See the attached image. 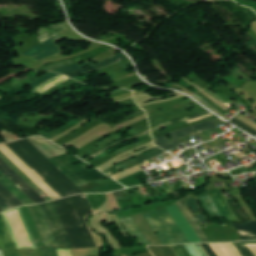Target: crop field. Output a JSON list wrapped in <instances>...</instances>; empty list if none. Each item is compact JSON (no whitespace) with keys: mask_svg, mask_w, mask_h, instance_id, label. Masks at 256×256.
<instances>
[{"mask_svg":"<svg viewBox=\"0 0 256 256\" xmlns=\"http://www.w3.org/2000/svg\"><path fill=\"white\" fill-rule=\"evenodd\" d=\"M56 207L72 248L95 247L82 220L92 209L85 195H75L52 201Z\"/></svg>","mask_w":256,"mask_h":256,"instance_id":"crop-field-2","label":"crop field"},{"mask_svg":"<svg viewBox=\"0 0 256 256\" xmlns=\"http://www.w3.org/2000/svg\"><path fill=\"white\" fill-rule=\"evenodd\" d=\"M0 151L5 154L22 172H24L52 200L61 198L38 174H36L19 156L5 143L0 144Z\"/></svg>","mask_w":256,"mask_h":256,"instance_id":"crop-field-4","label":"crop field"},{"mask_svg":"<svg viewBox=\"0 0 256 256\" xmlns=\"http://www.w3.org/2000/svg\"><path fill=\"white\" fill-rule=\"evenodd\" d=\"M124 59H127V57L125 55H123L122 53L114 56V57H111L103 62H100L94 66H92L96 71L101 69V68H104V67H107V66H110L112 64H115V63H118Z\"/></svg>","mask_w":256,"mask_h":256,"instance_id":"crop-field-25","label":"crop field"},{"mask_svg":"<svg viewBox=\"0 0 256 256\" xmlns=\"http://www.w3.org/2000/svg\"><path fill=\"white\" fill-rule=\"evenodd\" d=\"M121 223L123 224L124 228L126 229L127 233L131 237H137L139 240L138 243H145V245H151L150 242L144 237L141 233L139 228L137 227L136 223L132 219V217L122 218L120 219Z\"/></svg>","mask_w":256,"mask_h":256,"instance_id":"crop-field-16","label":"crop field"},{"mask_svg":"<svg viewBox=\"0 0 256 256\" xmlns=\"http://www.w3.org/2000/svg\"><path fill=\"white\" fill-rule=\"evenodd\" d=\"M137 256H153V255L150 252H147V253H143V254H140Z\"/></svg>","mask_w":256,"mask_h":256,"instance_id":"crop-field-39","label":"crop field"},{"mask_svg":"<svg viewBox=\"0 0 256 256\" xmlns=\"http://www.w3.org/2000/svg\"><path fill=\"white\" fill-rule=\"evenodd\" d=\"M44 256H57L56 249H42Z\"/></svg>","mask_w":256,"mask_h":256,"instance_id":"crop-field-35","label":"crop field"},{"mask_svg":"<svg viewBox=\"0 0 256 256\" xmlns=\"http://www.w3.org/2000/svg\"><path fill=\"white\" fill-rule=\"evenodd\" d=\"M218 256H242L233 243L210 244Z\"/></svg>","mask_w":256,"mask_h":256,"instance_id":"crop-field-21","label":"crop field"},{"mask_svg":"<svg viewBox=\"0 0 256 256\" xmlns=\"http://www.w3.org/2000/svg\"><path fill=\"white\" fill-rule=\"evenodd\" d=\"M239 230L241 240L256 239V221L248 223H230Z\"/></svg>","mask_w":256,"mask_h":256,"instance_id":"crop-field-18","label":"crop field"},{"mask_svg":"<svg viewBox=\"0 0 256 256\" xmlns=\"http://www.w3.org/2000/svg\"><path fill=\"white\" fill-rule=\"evenodd\" d=\"M168 211V210H167ZM166 209L146 213L144 216L153 228L160 235L163 244L189 243Z\"/></svg>","mask_w":256,"mask_h":256,"instance_id":"crop-field-3","label":"crop field"},{"mask_svg":"<svg viewBox=\"0 0 256 256\" xmlns=\"http://www.w3.org/2000/svg\"><path fill=\"white\" fill-rule=\"evenodd\" d=\"M203 248L207 251V253L210 255V256H217L216 253L213 251V249L210 247L209 244H204L202 245Z\"/></svg>","mask_w":256,"mask_h":256,"instance_id":"crop-field-36","label":"crop field"},{"mask_svg":"<svg viewBox=\"0 0 256 256\" xmlns=\"http://www.w3.org/2000/svg\"><path fill=\"white\" fill-rule=\"evenodd\" d=\"M167 210L172 216V218L175 220L177 225L180 227L182 232L185 234L187 239L190 241V243L201 242V240L196 235V233L194 232L190 224L187 222L181 211L178 209L176 204L167 208Z\"/></svg>","mask_w":256,"mask_h":256,"instance_id":"crop-field-10","label":"crop field"},{"mask_svg":"<svg viewBox=\"0 0 256 256\" xmlns=\"http://www.w3.org/2000/svg\"><path fill=\"white\" fill-rule=\"evenodd\" d=\"M89 71L88 69H83V70H79V71H74V72H71V73H67V74H64L66 76H69L71 78H75V77H79V76H82V75H85V74H88Z\"/></svg>","mask_w":256,"mask_h":256,"instance_id":"crop-field-32","label":"crop field"},{"mask_svg":"<svg viewBox=\"0 0 256 256\" xmlns=\"http://www.w3.org/2000/svg\"><path fill=\"white\" fill-rule=\"evenodd\" d=\"M60 247L71 248L62 222L51 202L41 204Z\"/></svg>","mask_w":256,"mask_h":256,"instance_id":"crop-field-6","label":"crop field"},{"mask_svg":"<svg viewBox=\"0 0 256 256\" xmlns=\"http://www.w3.org/2000/svg\"><path fill=\"white\" fill-rule=\"evenodd\" d=\"M194 98H196L199 102H201L202 104H204L205 106L209 107L211 110H213L214 112L218 113L219 115H221L222 117H224L225 119H227L225 116H223L220 112H218L216 109H214L212 106H210L208 103H206L205 101H203L201 98H199L198 96L194 95ZM229 120V119H227Z\"/></svg>","mask_w":256,"mask_h":256,"instance_id":"crop-field-34","label":"crop field"},{"mask_svg":"<svg viewBox=\"0 0 256 256\" xmlns=\"http://www.w3.org/2000/svg\"><path fill=\"white\" fill-rule=\"evenodd\" d=\"M209 193H210L217 209L219 210V212L225 219H227L229 222H239L237 217L231 211V209L222 193V189L211 190V191H209Z\"/></svg>","mask_w":256,"mask_h":256,"instance_id":"crop-field-12","label":"crop field"},{"mask_svg":"<svg viewBox=\"0 0 256 256\" xmlns=\"http://www.w3.org/2000/svg\"><path fill=\"white\" fill-rule=\"evenodd\" d=\"M207 113H209V112L205 111V112H203L201 114H198V115H195V116H192V117H188V118H184V119H180V120H176V121H171V122H166V123H163V124H161L159 126H156V127L152 128L151 131L153 132V131H155V130L161 128V127H164V126H168V125H172V124H175V123H178V122H182V121L198 118V117H200L202 115H205Z\"/></svg>","mask_w":256,"mask_h":256,"instance_id":"crop-field-29","label":"crop field"},{"mask_svg":"<svg viewBox=\"0 0 256 256\" xmlns=\"http://www.w3.org/2000/svg\"><path fill=\"white\" fill-rule=\"evenodd\" d=\"M47 247H59L40 205L28 206ZM30 213V214H31Z\"/></svg>","mask_w":256,"mask_h":256,"instance_id":"crop-field-7","label":"crop field"},{"mask_svg":"<svg viewBox=\"0 0 256 256\" xmlns=\"http://www.w3.org/2000/svg\"><path fill=\"white\" fill-rule=\"evenodd\" d=\"M29 140L33 144H35L49 158L68 153L66 150L54 145L53 143L49 142L48 140L42 137H33Z\"/></svg>","mask_w":256,"mask_h":256,"instance_id":"crop-field-13","label":"crop field"},{"mask_svg":"<svg viewBox=\"0 0 256 256\" xmlns=\"http://www.w3.org/2000/svg\"><path fill=\"white\" fill-rule=\"evenodd\" d=\"M176 204L179 207V209L182 211V213L184 214V216L186 217L188 222L191 224V226L193 227V229L195 230L197 235L200 237L202 242H208L207 238L205 237L204 233L200 229L199 225L197 224V222L195 221V219L191 215L190 211L188 210V208L186 207L184 202L181 200Z\"/></svg>","mask_w":256,"mask_h":256,"instance_id":"crop-field-19","label":"crop field"},{"mask_svg":"<svg viewBox=\"0 0 256 256\" xmlns=\"http://www.w3.org/2000/svg\"><path fill=\"white\" fill-rule=\"evenodd\" d=\"M191 256H207L199 244L183 245ZM182 245L170 246L177 256H190Z\"/></svg>","mask_w":256,"mask_h":256,"instance_id":"crop-field-17","label":"crop field"},{"mask_svg":"<svg viewBox=\"0 0 256 256\" xmlns=\"http://www.w3.org/2000/svg\"><path fill=\"white\" fill-rule=\"evenodd\" d=\"M154 256H176L169 246H149Z\"/></svg>","mask_w":256,"mask_h":256,"instance_id":"crop-field-26","label":"crop field"},{"mask_svg":"<svg viewBox=\"0 0 256 256\" xmlns=\"http://www.w3.org/2000/svg\"><path fill=\"white\" fill-rule=\"evenodd\" d=\"M0 199L7 205L9 209L23 205L1 183H0Z\"/></svg>","mask_w":256,"mask_h":256,"instance_id":"crop-field-23","label":"crop field"},{"mask_svg":"<svg viewBox=\"0 0 256 256\" xmlns=\"http://www.w3.org/2000/svg\"><path fill=\"white\" fill-rule=\"evenodd\" d=\"M0 206L3 208L4 211L8 210V208L5 206V204L0 200ZM0 207V212H2V208Z\"/></svg>","mask_w":256,"mask_h":256,"instance_id":"crop-field-37","label":"crop field"},{"mask_svg":"<svg viewBox=\"0 0 256 256\" xmlns=\"http://www.w3.org/2000/svg\"><path fill=\"white\" fill-rule=\"evenodd\" d=\"M6 144L13 151H15L32 169H34L62 197L77 194V193H83L27 139L15 141V142H9Z\"/></svg>","mask_w":256,"mask_h":256,"instance_id":"crop-field-1","label":"crop field"},{"mask_svg":"<svg viewBox=\"0 0 256 256\" xmlns=\"http://www.w3.org/2000/svg\"><path fill=\"white\" fill-rule=\"evenodd\" d=\"M163 153H165L163 150H161L160 148L156 147V148L150 150L149 152L144 153V154H142L140 156H137L135 158L138 159L140 162H143L145 160H148L150 158H153V157L158 156V155L163 154Z\"/></svg>","mask_w":256,"mask_h":256,"instance_id":"crop-field-27","label":"crop field"},{"mask_svg":"<svg viewBox=\"0 0 256 256\" xmlns=\"http://www.w3.org/2000/svg\"><path fill=\"white\" fill-rule=\"evenodd\" d=\"M89 65H93V64L90 63V64L80 66L79 63H77V64H74V65H71V66H68V67H64V68L54 70V72H59L61 74H64V73L71 72V71H74V70L82 69L83 67H87Z\"/></svg>","mask_w":256,"mask_h":256,"instance_id":"crop-field-30","label":"crop field"},{"mask_svg":"<svg viewBox=\"0 0 256 256\" xmlns=\"http://www.w3.org/2000/svg\"><path fill=\"white\" fill-rule=\"evenodd\" d=\"M58 75H60V74L50 72V73L46 74L45 76H43L42 78L35 81L34 83L30 84V86L35 90L39 86H41L43 83L47 82L48 80H50Z\"/></svg>","mask_w":256,"mask_h":256,"instance_id":"crop-field-28","label":"crop field"},{"mask_svg":"<svg viewBox=\"0 0 256 256\" xmlns=\"http://www.w3.org/2000/svg\"><path fill=\"white\" fill-rule=\"evenodd\" d=\"M58 38L60 37L55 36L54 38L26 51L24 54L31 56L35 61L59 54L54 42V40Z\"/></svg>","mask_w":256,"mask_h":256,"instance_id":"crop-field-11","label":"crop field"},{"mask_svg":"<svg viewBox=\"0 0 256 256\" xmlns=\"http://www.w3.org/2000/svg\"><path fill=\"white\" fill-rule=\"evenodd\" d=\"M71 28L68 24V22H62L58 24H54L51 26L43 27L39 29L38 36L40 39V42H44L48 39H50L52 36L57 35L67 29Z\"/></svg>","mask_w":256,"mask_h":256,"instance_id":"crop-field-15","label":"crop field"},{"mask_svg":"<svg viewBox=\"0 0 256 256\" xmlns=\"http://www.w3.org/2000/svg\"><path fill=\"white\" fill-rule=\"evenodd\" d=\"M68 176L78 185H82L85 184L87 182L90 181H94L97 179H101V178H107L106 175H104L103 173H101L100 171H98L97 169H92L90 171H88V169L86 170H82L79 172H75L72 174H68Z\"/></svg>","mask_w":256,"mask_h":256,"instance_id":"crop-field-14","label":"crop field"},{"mask_svg":"<svg viewBox=\"0 0 256 256\" xmlns=\"http://www.w3.org/2000/svg\"><path fill=\"white\" fill-rule=\"evenodd\" d=\"M244 256H254L246 245H237Z\"/></svg>","mask_w":256,"mask_h":256,"instance_id":"crop-field-33","label":"crop field"},{"mask_svg":"<svg viewBox=\"0 0 256 256\" xmlns=\"http://www.w3.org/2000/svg\"><path fill=\"white\" fill-rule=\"evenodd\" d=\"M113 194H114L115 198H123L120 191L114 192Z\"/></svg>","mask_w":256,"mask_h":256,"instance_id":"crop-field-38","label":"crop field"},{"mask_svg":"<svg viewBox=\"0 0 256 256\" xmlns=\"http://www.w3.org/2000/svg\"><path fill=\"white\" fill-rule=\"evenodd\" d=\"M0 176L3 177L10 185L4 182L0 178V182L13 194L15 195L24 205L33 204L34 202L30 200L12 181H10L6 176L0 172Z\"/></svg>","mask_w":256,"mask_h":256,"instance_id":"crop-field-20","label":"crop field"},{"mask_svg":"<svg viewBox=\"0 0 256 256\" xmlns=\"http://www.w3.org/2000/svg\"><path fill=\"white\" fill-rule=\"evenodd\" d=\"M148 133H150V130H149V129L146 130V131H144V132H141V133H139V134H137V135L131 136V137H129V138L116 141V142H114V143L108 145V146L105 147L104 149L100 150L99 152H97V153H95V154H93V155H91V156H89V157H87V158H85V159H83V160L87 161V160H89V159H91V158H93V157H95V156H97V155H99V154L105 152L106 150H108V149H110V148H112V147H114V146H116V145H119V144H121V143H124V142H126V141H128V140H131V139H133V138H137V137L144 136V135H146V134H148Z\"/></svg>","mask_w":256,"mask_h":256,"instance_id":"crop-field-24","label":"crop field"},{"mask_svg":"<svg viewBox=\"0 0 256 256\" xmlns=\"http://www.w3.org/2000/svg\"><path fill=\"white\" fill-rule=\"evenodd\" d=\"M217 126H219V125H217L214 122H212L211 120H209V121L197 124L195 126L183 129V130L165 134V135L161 136L160 138L154 140V142H155V144L159 145L160 147H162L163 149L168 151L171 148H173L174 146L180 144V141L178 139L186 137V136L194 134V133H197V132L212 129ZM168 135L172 138L171 140L166 138Z\"/></svg>","mask_w":256,"mask_h":256,"instance_id":"crop-field-5","label":"crop field"},{"mask_svg":"<svg viewBox=\"0 0 256 256\" xmlns=\"http://www.w3.org/2000/svg\"><path fill=\"white\" fill-rule=\"evenodd\" d=\"M0 170L8 176L27 196H29L35 203L45 202V200L38 195L26 182H24L11 168H9L0 159ZM28 197V198H29ZM29 198V199H30ZM30 199V200H31Z\"/></svg>","mask_w":256,"mask_h":256,"instance_id":"crop-field-9","label":"crop field"},{"mask_svg":"<svg viewBox=\"0 0 256 256\" xmlns=\"http://www.w3.org/2000/svg\"><path fill=\"white\" fill-rule=\"evenodd\" d=\"M230 122L238 125L239 127L243 128L244 130H246L247 132L251 133L252 135L256 136V132L254 130H252L251 128L247 127L246 125H244L243 123H241L240 121H238L237 119H232L230 120Z\"/></svg>","mask_w":256,"mask_h":256,"instance_id":"crop-field-31","label":"crop field"},{"mask_svg":"<svg viewBox=\"0 0 256 256\" xmlns=\"http://www.w3.org/2000/svg\"><path fill=\"white\" fill-rule=\"evenodd\" d=\"M201 203L205 207L206 211L210 215V217L217 215L225 224H228L224 218L220 215L218 210L216 209L214 203L212 202L208 192L203 193L202 195L198 196Z\"/></svg>","mask_w":256,"mask_h":256,"instance_id":"crop-field-22","label":"crop field"},{"mask_svg":"<svg viewBox=\"0 0 256 256\" xmlns=\"http://www.w3.org/2000/svg\"><path fill=\"white\" fill-rule=\"evenodd\" d=\"M16 209H18V211H19V213H20V215H21V218H22V220H23V222H24V225H25V227H26V229H27V231H28V234H29V236H30V238H31V241H32V243H33V245H34V247L19 248V246H18V244H17V242H16V240H15V237H14V235H13V233H12V230H11L9 224H8V221H7V219H6V217H5L4 213H3L2 215H3V217H4L5 221H6V224H7L8 228H9V230H10V233H11L13 239H14V242H15L17 248H18V249L37 248L36 245H35V243H34V240H33L32 236H31V233H30V231H29V229H28V226H27V224H26V222H25V219H24V217H23V215H22V212H21L20 208L18 207V208H16ZM16 209H13V210H16ZM13 210H10V211H13ZM8 212H9V211H8ZM5 213H6V212H5ZM2 215L0 214V248H1V249H17L16 246H15V244H14V242H13V239H12L10 233H9V230H8L6 224H5V221H4L3 217H2Z\"/></svg>","mask_w":256,"mask_h":256,"instance_id":"crop-field-8","label":"crop field"}]
</instances>
